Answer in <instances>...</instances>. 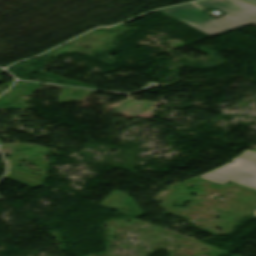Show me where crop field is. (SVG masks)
<instances>
[{"label": "crop field", "mask_w": 256, "mask_h": 256, "mask_svg": "<svg viewBox=\"0 0 256 256\" xmlns=\"http://www.w3.org/2000/svg\"><path fill=\"white\" fill-rule=\"evenodd\" d=\"M213 7L225 16L215 20L204 14L201 8ZM187 6L163 10L164 13L214 36L256 22V5L240 0H209Z\"/></svg>", "instance_id": "obj_1"}, {"label": "crop field", "mask_w": 256, "mask_h": 256, "mask_svg": "<svg viewBox=\"0 0 256 256\" xmlns=\"http://www.w3.org/2000/svg\"><path fill=\"white\" fill-rule=\"evenodd\" d=\"M198 177L221 185L233 181L256 190V152L246 150L226 164ZM253 216L256 217V211Z\"/></svg>", "instance_id": "obj_2"}, {"label": "crop field", "mask_w": 256, "mask_h": 256, "mask_svg": "<svg viewBox=\"0 0 256 256\" xmlns=\"http://www.w3.org/2000/svg\"><path fill=\"white\" fill-rule=\"evenodd\" d=\"M254 24H256V23H254Z\"/></svg>", "instance_id": "obj_4"}, {"label": "crop field", "mask_w": 256, "mask_h": 256, "mask_svg": "<svg viewBox=\"0 0 256 256\" xmlns=\"http://www.w3.org/2000/svg\"><path fill=\"white\" fill-rule=\"evenodd\" d=\"M243 1H246V2H250V3L256 4V0H243Z\"/></svg>", "instance_id": "obj_3"}]
</instances>
